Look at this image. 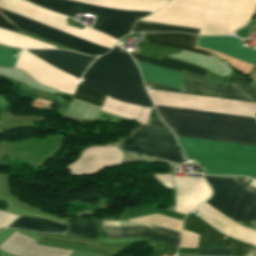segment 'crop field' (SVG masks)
Segmentation results:
<instances>
[{"mask_svg":"<svg viewBox=\"0 0 256 256\" xmlns=\"http://www.w3.org/2000/svg\"><path fill=\"white\" fill-rule=\"evenodd\" d=\"M122 152L115 147H96L86 149L79 160L69 165L72 174H83L93 172L105 165H116L120 163Z\"/></svg>","mask_w":256,"mask_h":256,"instance_id":"crop-field-13","label":"crop field"},{"mask_svg":"<svg viewBox=\"0 0 256 256\" xmlns=\"http://www.w3.org/2000/svg\"><path fill=\"white\" fill-rule=\"evenodd\" d=\"M149 111H150V108H144L139 119L137 118L138 120L136 121L139 122L140 124H144L146 122Z\"/></svg>","mask_w":256,"mask_h":256,"instance_id":"crop-field-25","label":"crop field"},{"mask_svg":"<svg viewBox=\"0 0 256 256\" xmlns=\"http://www.w3.org/2000/svg\"><path fill=\"white\" fill-rule=\"evenodd\" d=\"M108 237L145 236L157 242L178 247L181 234L154 226L102 227Z\"/></svg>","mask_w":256,"mask_h":256,"instance_id":"crop-field-15","label":"crop field"},{"mask_svg":"<svg viewBox=\"0 0 256 256\" xmlns=\"http://www.w3.org/2000/svg\"><path fill=\"white\" fill-rule=\"evenodd\" d=\"M68 225L70 228L68 235L97 238V221L69 219Z\"/></svg>","mask_w":256,"mask_h":256,"instance_id":"crop-field-20","label":"crop field"},{"mask_svg":"<svg viewBox=\"0 0 256 256\" xmlns=\"http://www.w3.org/2000/svg\"><path fill=\"white\" fill-rule=\"evenodd\" d=\"M154 106L175 135L256 146V118Z\"/></svg>","mask_w":256,"mask_h":256,"instance_id":"crop-field-6","label":"crop field"},{"mask_svg":"<svg viewBox=\"0 0 256 256\" xmlns=\"http://www.w3.org/2000/svg\"><path fill=\"white\" fill-rule=\"evenodd\" d=\"M131 55L133 59L137 61H141V62H145V63H149V64H153V65H157V66H161V67H165V68H169V69H173L181 72L182 70H184L190 73L197 74L201 77H203V75L206 73V70L202 68H199L187 63H183L180 61L172 60L169 58H165V57H163L161 61H158V60H154V59H150V58H146V57H142L134 54H131ZM137 61L135 62L141 72L143 80L182 90V73L181 72H177V71L137 62Z\"/></svg>","mask_w":256,"mask_h":256,"instance_id":"crop-field-10","label":"crop field"},{"mask_svg":"<svg viewBox=\"0 0 256 256\" xmlns=\"http://www.w3.org/2000/svg\"><path fill=\"white\" fill-rule=\"evenodd\" d=\"M148 87H152L155 90L170 91L191 95H199L220 99H228L242 102L256 103V90L254 87L248 83L246 80L240 77H229L226 84V88L203 79L197 75L190 74L183 71V90L187 91H197V92H206V93H216V94H225V95H235V96H244V97H253V98H244V97H235V96H225V95H216V94H206V93H197V92H187L181 91L149 82H145ZM149 90L147 91L151 97L154 104L172 106L186 109H198L222 113H230L236 115L252 116L256 117V104L242 103L228 100H220L199 96H191L170 92H162Z\"/></svg>","mask_w":256,"mask_h":256,"instance_id":"crop-field-2","label":"crop field"},{"mask_svg":"<svg viewBox=\"0 0 256 256\" xmlns=\"http://www.w3.org/2000/svg\"><path fill=\"white\" fill-rule=\"evenodd\" d=\"M142 37H146V42L148 43L179 48L207 56L211 55L206 51L194 49L197 37L194 35L183 33H144Z\"/></svg>","mask_w":256,"mask_h":256,"instance_id":"crop-field-17","label":"crop field"},{"mask_svg":"<svg viewBox=\"0 0 256 256\" xmlns=\"http://www.w3.org/2000/svg\"><path fill=\"white\" fill-rule=\"evenodd\" d=\"M156 177L167 187L173 188L170 175L156 174Z\"/></svg>","mask_w":256,"mask_h":256,"instance_id":"crop-field-24","label":"crop field"},{"mask_svg":"<svg viewBox=\"0 0 256 256\" xmlns=\"http://www.w3.org/2000/svg\"><path fill=\"white\" fill-rule=\"evenodd\" d=\"M120 149L146 153L183 163L182 150L174 135L158 120L148 119L130 138L122 140Z\"/></svg>","mask_w":256,"mask_h":256,"instance_id":"crop-field-9","label":"crop field"},{"mask_svg":"<svg viewBox=\"0 0 256 256\" xmlns=\"http://www.w3.org/2000/svg\"><path fill=\"white\" fill-rule=\"evenodd\" d=\"M89 69L145 92L136 65L129 55L125 53L113 49L106 55L96 59ZM89 69H87L83 75L84 81L82 85L122 102L153 107L149 97L145 94L146 92H140L119 81ZM82 85H78L73 98L101 106L106 96Z\"/></svg>","mask_w":256,"mask_h":256,"instance_id":"crop-field-5","label":"crop field"},{"mask_svg":"<svg viewBox=\"0 0 256 256\" xmlns=\"http://www.w3.org/2000/svg\"><path fill=\"white\" fill-rule=\"evenodd\" d=\"M10 227L29 230V231H39V232H57L65 233L67 232V227L43 220L31 217H20L18 218Z\"/></svg>","mask_w":256,"mask_h":256,"instance_id":"crop-field-18","label":"crop field"},{"mask_svg":"<svg viewBox=\"0 0 256 256\" xmlns=\"http://www.w3.org/2000/svg\"><path fill=\"white\" fill-rule=\"evenodd\" d=\"M35 5L58 12L66 16L75 14H90L95 16L92 28L106 33L116 39L129 33L133 22L158 10L168 1L165 0H76L86 3L103 5L119 9L135 10H118L103 6L86 4L71 0H27Z\"/></svg>","mask_w":256,"mask_h":256,"instance_id":"crop-field-7","label":"crop field"},{"mask_svg":"<svg viewBox=\"0 0 256 256\" xmlns=\"http://www.w3.org/2000/svg\"><path fill=\"white\" fill-rule=\"evenodd\" d=\"M205 180L213 190V197L208 200L214 206L236 221L256 220V181L247 185L240 177L207 176ZM209 202L196 207L200 217L216 230L245 243L256 246V230L239 224L215 208ZM197 215L191 212L183 229L200 234L198 248L235 246L231 256H245L254 246L231 239L213 229Z\"/></svg>","mask_w":256,"mask_h":256,"instance_id":"crop-field-1","label":"crop field"},{"mask_svg":"<svg viewBox=\"0 0 256 256\" xmlns=\"http://www.w3.org/2000/svg\"><path fill=\"white\" fill-rule=\"evenodd\" d=\"M0 6L13 10L17 13L30 17L34 20L47 24L51 27L64 31L68 34L81 38L85 41L110 50L115 44V40L98 32L84 27L83 30L66 26L67 17L46 11L34 6L24 0H0ZM0 7L4 17L15 23L23 31L77 50L84 54L99 55L108 52L98 46L85 42L81 39L68 35L64 32L51 28L47 25L34 21L30 18L17 14L13 11ZM0 28L13 32H18L17 26L3 19L0 15Z\"/></svg>","mask_w":256,"mask_h":256,"instance_id":"crop-field-3","label":"crop field"},{"mask_svg":"<svg viewBox=\"0 0 256 256\" xmlns=\"http://www.w3.org/2000/svg\"><path fill=\"white\" fill-rule=\"evenodd\" d=\"M49 64L75 76L81 77L85 69L96 57H88L68 51L27 50ZM19 50L0 46V67L14 68L15 56Z\"/></svg>","mask_w":256,"mask_h":256,"instance_id":"crop-field-11","label":"crop field"},{"mask_svg":"<svg viewBox=\"0 0 256 256\" xmlns=\"http://www.w3.org/2000/svg\"><path fill=\"white\" fill-rule=\"evenodd\" d=\"M0 250L16 256H69L72 251L36 245L34 239L14 232Z\"/></svg>","mask_w":256,"mask_h":256,"instance_id":"crop-field-14","label":"crop field"},{"mask_svg":"<svg viewBox=\"0 0 256 256\" xmlns=\"http://www.w3.org/2000/svg\"><path fill=\"white\" fill-rule=\"evenodd\" d=\"M19 216L0 211V228L8 226Z\"/></svg>","mask_w":256,"mask_h":256,"instance_id":"crop-field-23","label":"crop field"},{"mask_svg":"<svg viewBox=\"0 0 256 256\" xmlns=\"http://www.w3.org/2000/svg\"><path fill=\"white\" fill-rule=\"evenodd\" d=\"M134 31H184V32L195 33V34H198L199 32V30H196V29L168 26V25L141 22V21H137L134 23L131 32H134Z\"/></svg>","mask_w":256,"mask_h":256,"instance_id":"crop-field-21","label":"crop field"},{"mask_svg":"<svg viewBox=\"0 0 256 256\" xmlns=\"http://www.w3.org/2000/svg\"><path fill=\"white\" fill-rule=\"evenodd\" d=\"M141 108L140 106L122 103L107 96L100 110L133 120L137 118Z\"/></svg>","mask_w":256,"mask_h":256,"instance_id":"crop-field-19","label":"crop field"},{"mask_svg":"<svg viewBox=\"0 0 256 256\" xmlns=\"http://www.w3.org/2000/svg\"><path fill=\"white\" fill-rule=\"evenodd\" d=\"M171 4L252 15L256 0H170ZM167 4L141 21L200 29L201 35H232L250 16Z\"/></svg>","mask_w":256,"mask_h":256,"instance_id":"crop-field-4","label":"crop field"},{"mask_svg":"<svg viewBox=\"0 0 256 256\" xmlns=\"http://www.w3.org/2000/svg\"><path fill=\"white\" fill-rule=\"evenodd\" d=\"M240 41L235 37H199L197 46L218 51L255 65L256 51L240 46Z\"/></svg>","mask_w":256,"mask_h":256,"instance_id":"crop-field-16","label":"crop field"},{"mask_svg":"<svg viewBox=\"0 0 256 256\" xmlns=\"http://www.w3.org/2000/svg\"><path fill=\"white\" fill-rule=\"evenodd\" d=\"M176 187L174 211L186 215L211 196V189L204 178L172 177Z\"/></svg>","mask_w":256,"mask_h":256,"instance_id":"crop-field-12","label":"crop field"},{"mask_svg":"<svg viewBox=\"0 0 256 256\" xmlns=\"http://www.w3.org/2000/svg\"><path fill=\"white\" fill-rule=\"evenodd\" d=\"M176 137L184 150L185 158L197 160L204 166L207 174H245L256 177V147Z\"/></svg>","mask_w":256,"mask_h":256,"instance_id":"crop-field-8","label":"crop field"},{"mask_svg":"<svg viewBox=\"0 0 256 256\" xmlns=\"http://www.w3.org/2000/svg\"><path fill=\"white\" fill-rule=\"evenodd\" d=\"M234 247L199 250V255L230 256Z\"/></svg>","mask_w":256,"mask_h":256,"instance_id":"crop-field-22","label":"crop field"}]
</instances>
